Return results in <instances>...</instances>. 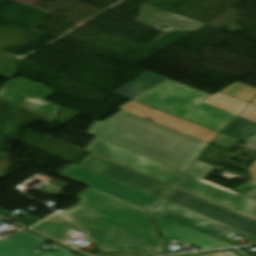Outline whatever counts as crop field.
Listing matches in <instances>:
<instances>
[{
  "label": "crop field",
  "mask_w": 256,
  "mask_h": 256,
  "mask_svg": "<svg viewBox=\"0 0 256 256\" xmlns=\"http://www.w3.org/2000/svg\"><path fill=\"white\" fill-rule=\"evenodd\" d=\"M80 202L32 228L60 242L76 239L70 229L88 233L100 252L161 253L165 243L150 222L151 212L89 187ZM174 253L165 249L163 254Z\"/></svg>",
  "instance_id": "1"
},
{
  "label": "crop field",
  "mask_w": 256,
  "mask_h": 256,
  "mask_svg": "<svg viewBox=\"0 0 256 256\" xmlns=\"http://www.w3.org/2000/svg\"><path fill=\"white\" fill-rule=\"evenodd\" d=\"M88 134L184 172L208 145L123 110L95 121Z\"/></svg>",
  "instance_id": "2"
},
{
  "label": "crop field",
  "mask_w": 256,
  "mask_h": 256,
  "mask_svg": "<svg viewBox=\"0 0 256 256\" xmlns=\"http://www.w3.org/2000/svg\"><path fill=\"white\" fill-rule=\"evenodd\" d=\"M206 96L166 80L133 100L220 132L236 115L200 102Z\"/></svg>",
  "instance_id": "3"
},
{
  "label": "crop field",
  "mask_w": 256,
  "mask_h": 256,
  "mask_svg": "<svg viewBox=\"0 0 256 256\" xmlns=\"http://www.w3.org/2000/svg\"><path fill=\"white\" fill-rule=\"evenodd\" d=\"M85 151L150 175L174 186L177 185L185 174L182 171L150 160L96 137L89 143Z\"/></svg>",
  "instance_id": "4"
},
{
  "label": "crop field",
  "mask_w": 256,
  "mask_h": 256,
  "mask_svg": "<svg viewBox=\"0 0 256 256\" xmlns=\"http://www.w3.org/2000/svg\"><path fill=\"white\" fill-rule=\"evenodd\" d=\"M61 174L68 177L75 175L83 179L80 182L88 186H91L100 191L118 197L122 200L140 206L149 211H151L161 201V199L147 194L143 191H140L134 187H131L127 184L106 177L104 175L98 174L96 172L90 171L88 169L82 168L75 164L71 165Z\"/></svg>",
  "instance_id": "5"
},
{
  "label": "crop field",
  "mask_w": 256,
  "mask_h": 256,
  "mask_svg": "<svg viewBox=\"0 0 256 256\" xmlns=\"http://www.w3.org/2000/svg\"><path fill=\"white\" fill-rule=\"evenodd\" d=\"M165 200L256 236V221L175 188Z\"/></svg>",
  "instance_id": "6"
},
{
  "label": "crop field",
  "mask_w": 256,
  "mask_h": 256,
  "mask_svg": "<svg viewBox=\"0 0 256 256\" xmlns=\"http://www.w3.org/2000/svg\"><path fill=\"white\" fill-rule=\"evenodd\" d=\"M80 166L120 180L161 199L174 188L92 154L88 155Z\"/></svg>",
  "instance_id": "7"
},
{
  "label": "crop field",
  "mask_w": 256,
  "mask_h": 256,
  "mask_svg": "<svg viewBox=\"0 0 256 256\" xmlns=\"http://www.w3.org/2000/svg\"><path fill=\"white\" fill-rule=\"evenodd\" d=\"M177 187L256 218L255 200L210 185L202 179L186 174Z\"/></svg>",
  "instance_id": "8"
},
{
  "label": "crop field",
  "mask_w": 256,
  "mask_h": 256,
  "mask_svg": "<svg viewBox=\"0 0 256 256\" xmlns=\"http://www.w3.org/2000/svg\"><path fill=\"white\" fill-rule=\"evenodd\" d=\"M154 212L214 238L232 232L246 238L253 244L256 243V237L205 218L165 200Z\"/></svg>",
  "instance_id": "9"
},
{
  "label": "crop field",
  "mask_w": 256,
  "mask_h": 256,
  "mask_svg": "<svg viewBox=\"0 0 256 256\" xmlns=\"http://www.w3.org/2000/svg\"><path fill=\"white\" fill-rule=\"evenodd\" d=\"M152 220L164 239L179 240L201 249L231 246L153 213Z\"/></svg>",
  "instance_id": "10"
},
{
  "label": "crop field",
  "mask_w": 256,
  "mask_h": 256,
  "mask_svg": "<svg viewBox=\"0 0 256 256\" xmlns=\"http://www.w3.org/2000/svg\"><path fill=\"white\" fill-rule=\"evenodd\" d=\"M49 242L25 230L0 242V256H78L67 249L50 244L58 249L57 252L33 253V249Z\"/></svg>",
  "instance_id": "11"
},
{
  "label": "crop field",
  "mask_w": 256,
  "mask_h": 256,
  "mask_svg": "<svg viewBox=\"0 0 256 256\" xmlns=\"http://www.w3.org/2000/svg\"><path fill=\"white\" fill-rule=\"evenodd\" d=\"M0 98L14 105H21V107L47 117L51 120L54 119L59 110V107L54 104L48 103L39 98L33 97L7 86H3L0 92Z\"/></svg>",
  "instance_id": "12"
},
{
  "label": "crop field",
  "mask_w": 256,
  "mask_h": 256,
  "mask_svg": "<svg viewBox=\"0 0 256 256\" xmlns=\"http://www.w3.org/2000/svg\"><path fill=\"white\" fill-rule=\"evenodd\" d=\"M166 78L146 72L135 80L115 90L113 93L131 99L140 93L154 87Z\"/></svg>",
  "instance_id": "13"
},
{
  "label": "crop field",
  "mask_w": 256,
  "mask_h": 256,
  "mask_svg": "<svg viewBox=\"0 0 256 256\" xmlns=\"http://www.w3.org/2000/svg\"><path fill=\"white\" fill-rule=\"evenodd\" d=\"M4 85L23 91L25 93L31 94L33 96L39 97L44 100L52 96L53 94H55L51 90L46 88L44 85L38 82L20 78V77L16 79H11Z\"/></svg>",
  "instance_id": "14"
},
{
  "label": "crop field",
  "mask_w": 256,
  "mask_h": 256,
  "mask_svg": "<svg viewBox=\"0 0 256 256\" xmlns=\"http://www.w3.org/2000/svg\"><path fill=\"white\" fill-rule=\"evenodd\" d=\"M222 134L245 141L256 136V123L239 117Z\"/></svg>",
  "instance_id": "15"
},
{
  "label": "crop field",
  "mask_w": 256,
  "mask_h": 256,
  "mask_svg": "<svg viewBox=\"0 0 256 256\" xmlns=\"http://www.w3.org/2000/svg\"><path fill=\"white\" fill-rule=\"evenodd\" d=\"M203 102L222 108L237 115H239L242 110L248 105V103L221 94L219 92L213 94Z\"/></svg>",
  "instance_id": "16"
},
{
  "label": "crop field",
  "mask_w": 256,
  "mask_h": 256,
  "mask_svg": "<svg viewBox=\"0 0 256 256\" xmlns=\"http://www.w3.org/2000/svg\"><path fill=\"white\" fill-rule=\"evenodd\" d=\"M219 92H222L224 94L230 95L232 97H235V98H238L240 100L250 103V101L256 95V88L236 82V83L220 90Z\"/></svg>",
  "instance_id": "17"
},
{
  "label": "crop field",
  "mask_w": 256,
  "mask_h": 256,
  "mask_svg": "<svg viewBox=\"0 0 256 256\" xmlns=\"http://www.w3.org/2000/svg\"><path fill=\"white\" fill-rule=\"evenodd\" d=\"M214 168H211L209 166L203 165L201 163L196 162L194 166L189 170L188 174L194 175L199 178H206Z\"/></svg>",
  "instance_id": "18"
},
{
  "label": "crop field",
  "mask_w": 256,
  "mask_h": 256,
  "mask_svg": "<svg viewBox=\"0 0 256 256\" xmlns=\"http://www.w3.org/2000/svg\"><path fill=\"white\" fill-rule=\"evenodd\" d=\"M238 140H235L233 138L227 137L225 135L220 134L217 139L214 141V143L222 145L224 147H227L231 145L232 143L236 142Z\"/></svg>",
  "instance_id": "19"
},
{
  "label": "crop field",
  "mask_w": 256,
  "mask_h": 256,
  "mask_svg": "<svg viewBox=\"0 0 256 256\" xmlns=\"http://www.w3.org/2000/svg\"><path fill=\"white\" fill-rule=\"evenodd\" d=\"M241 116L256 121V106L250 104V105L244 110V112L242 113Z\"/></svg>",
  "instance_id": "20"
},
{
  "label": "crop field",
  "mask_w": 256,
  "mask_h": 256,
  "mask_svg": "<svg viewBox=\"0 0 256 256\" xmlns=\"http://www.w3.org/2000/svg\"><path fill=\"white\" fill-rule=\"evenodd\" d=\"M20 217H22L24 219L19 221V222H17V223L25 225L27 227H29V226L33 225L34 223L38 222V220H36V219H34V218L30 217V216H20Z\"/></svg>",
  "instance_id": "21"
},
{
  "label": "crop field",
  "mask_w": 256,
  "mask_h": 256,
  "mask_svg": "<svg viewBox=\"0 0 256 256\" xmlns=\"http://www.w3.org/2000/svg\"><path fill=\"white\" fill-rule=\"evenodd\" d=\"M249 172L252 177V181L256 182V161L249 167Z\"/></svg>",
  "instance_id": "22"
},
{
  "label": "crop field",
  "mask_w": 256,
  "mask_h": 256,
  "mask_svg": "<svg viewBox=\"0 0 256 256\" xmlns=\"http://www.w3.org/2000/svg\"><path fill=\"white\" fill-rule=\"evenodd\" d=\"M93 256H136L131 253H120V254H99V255H93Z\"/></svg>",
  "instance_id": "23"
},
{
  "label": "crop field",
  "mask_w": 256,
  "mask_h": 256,
  "mask_svg": "<svg viewBox=\"0 0 256 256\" xmlns=\"http://www.w3.org/2000/svg\"><path fill=\"white\" fill-rule=\"evenodd\" d=\"M244 195L256 200V188H254L253 190L247 192Z\"/></svg>",
  "instance_id": "24"
},
{
  "label": "crop field",
  "mask_w": 256,
  "mask_h": 256,
  "mask_svg": "<svg viewBox=\"0 0 256 256\" xmlns=\"http://www.w3.org/2000/svg\"><path fill=\"white\" fill-rule=\"evenodd\" d=\"M9 215H11V214H9V213H7V212H5V211H3V210H0V216L6 218V217L9 216Z\"/></svg>",
  "instance_id": "25"
},
{
  "label": "crop field",
  "mask_w": 256,
  "mask_h": 256,
  "mask_svg": "<svg viewBox=\"0 0 256 256\" xmlns=\"http://www.w3.org/2000/svg\"><path fill=\"white\" fill-rule=\"evenodd\" d=\"M245 142L250 143V144H253V145H256V137H254V138H252V139H250V140H247V141H245Z\"/></svg>",
  "instance_id": "26"
},
{
  "label": "crop field",
  "mask_w": 256,
  "mask_h": 256,
  "mask_svg": "<svg viewBox=\"0 0 256 256\" xmlns=\"http://www.w3.org/2000/svg\"><path fill=\"white\" fill-rule=\"evenodd\" d=\"M225 254H226V256H239L232 251H227V252H225Z\"/></svg>",
  "instance_id": "27"
},
{
  "label": "crop field",
  "mask_w": 256,
  "mask_h": 256,
  "mask_svg": "<svg viewBox=\"0 0 256 256\" xmlns=\"http://www.w3.org/2000/svg\"><path fill=\"white\" fill-rule=\"evenodd\" d=\"M208 256H224L223 253H216V254H212V255H208Z\"/></svg>",
  "instance_id": "28"
},
{
  "label": "crop field",
  "mask_w": 256,
  "mask_h": 256,
  "mask_svg": "<svg viewBox=\"0 0 256 256\" xmlns=\"http://www.w3.org/2000/svg\"><path fill=\"white\" fill-rule=\"evenodd\" d=\"M244 253H245L247 256L253 255V254H251V253H249V252H247V251H244Z\"/></svg>",
  "instance_id": "29"
},
{
  "label": "crop field",
  "mask_w": 256,
  "mask_h": 256,
  "mask_svg": "<svg viewBox=\"0 0 256 256\" xmlns=\"http://www.w3.org/2000/svg\"><path fill=\"white\" fill-rule=\"evenodd\" d=\"M230 249H233V250H235L237 253H239L235 248H230ZM224 250H226V249H224ZM240 255H242L241 253H239ZM242 256H244V255H242Z\"/></svg>",
  "instance_id": "30"
},
{
  "label": "crop field",
  "mask_w": 256,
  "mask_h": 256,
  "mask_svg": "<svg viewBox=\"0 0 256 256\" xmlns=\"http://www.w3.org/2000/svg\"><path fill=\"white\" fill-rule=\"evenodd\" d=\"M252 104H255V105H256V98L253 100Z\"/></svg>",
  "instance_id": "31"
},
{
  "label": "crop field",
  "mask_w": 256,
  "mask_h": 256,
  "mask_svg": "<svg viewBox=\"0 0 256 256\" xmlns=\"http://www.w3.org/2000/svg\"><path fill=\"white\" fill-rule=\"evenodd\" d=\"M1 222H3V221L0 220V223H1Z\"/></svg>",
  "instance_id": "32"
},
{
  "label": "crop field",
  "mask_w": 256,
  "mask_h": 256,
  "mask_svg": "<svg viewBox=\"0 0 256 256\" xmlns=\"http://www.w3.org/2000/svg\"><path fill=\"white\" fill-rule=\"evenodd\" d=\"M1 240V239H0Z\"/></svg>",
  "instance_id": "33"
}]
</instances>
